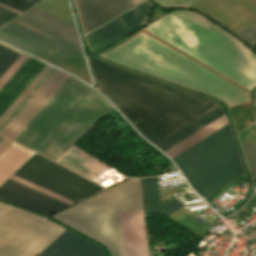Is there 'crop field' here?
<instances>
[{
    "mask_svg": "<svg viewBox=\"0 0 256 256\" xmlns=\"http://www.w3.org/2000/svg\"><path fill=\"white\" fill-rule=\"evenodd\" d=\"M198 15L176 10L143 29L254 88L256 57L242 43ZM144 34L102 57L216 97L228 107L247 100L246 90Z\"/></svg>",
    "mask_w": 256,
    "mask_h": 256,
    "instance_id": "obj_1",
    "label": "crop field"
},
{
    "mask_svg": "<svg viewBox=\"0 0 256 256\" xmlns=\"http://www.w3.org/2000/svg\"><path fill=\"white\" fill-rule=\"evenodd\" d=\"M96 88L155 145L219 104L95 58H87Z\"/></svg>",
    "mask_w": 256,
    "mask_h": 256,
    "instance_id": "obj_2",
    "label": "crop field"
},
{
    "mask_svg": "<svg viewBox=\"0 0 256 256\" xmlns=\"http://www.w3.org/2000/svg\"><path fill=\"white\" fill-rule=\"evenodd\" d=\"M112 109L99 93L69 76L12 141L55 161Z\"/></svg>",
    "mask_w": 256,
    "mask_h": 256,
    "instance_id": "obj_3",
    "label": "crop field"
},
{
    "mask_svg": "<svg viewBox=\"0 0 256 256\" xmlns=\"http://www.w3.org/2000/svg\"><path fill=\"white\" fill-rule=\"evenodd\" d=\"M173 160L203 199L245 173L229 125Z\"/></svg>",
    "mask_w": 256,
    "mask_h": 256,
    "instance_id": "obj_4",
    "label": "crop field"
},
{
    "mask_svg": "<svg viewBox=\"0 0 256 256\" xmlns=\"http://www.w3.org/2000/svg\"><path fill=\"white\" fill-rule=\"evenodd\" d=\"M64 230L11 207L0 217V256H37Z\"/></svg>",
    "mask_w": 256,
    "mask_h": 256,
    "instance_id": "obj_5",
    "label": "crop field"
},
{
    "mask_svg": "<svg viewBox=\"0 0 256 256\" xmlns=\"http://www.w3.org/2000/svg\"><path fill=\"white\" fill-rule=\"evenodd\" d=\"M3 29L54 54L83 55L75 26L35 7Z\"/></svg>",
    "mask_w": 256,
    "mask_h": 256,
    "instance_id": "obj_6",
    "label": "crop field"
},
{
    "mask_svg": "<svg viewBox=\"0 0 256 256\" xmlns=\"http://www.w3.org/2000/svg\"><path fill=\"white\" fill-rule=\"evenodd\" d=\"M19 172L82 200L102 188L35 155Z\"/></svg>",
    "mask_w": 256,
    "mask_h": 256,
    "instance_id": "obj_7",
    "label": "crop field"
},
{
    "mask_svg": "<svg viewBox=\"0 0 256 256\" xmlns=\"http://www.w3.org/2000/svg\"><path fill=\"white\" fill-rule=\"evenodd\" d=\"M153 5L147 0L136 8L86 35L85 39L89 47L97 53L146 25V19Z\"/></svg>",
    "mask_w": 256,
    "mask_h": 256,
    "instance_id": "obj_8",
    "label": "crop field"
},
{
    "mask_svg": "<svg viewBox=\"0 0 256 256\" xmlns=\"http://www.w3.org/2000/svg\"><path fill=\"white\" fill-rule=\"evenodd\" d=\"M190 8L207 14L234 33L256 21V0H202Z\"/></svg>",
    "mask_w": 256,
    "mask_h": 256,
    "instance_id": "obj_9",
    "label": "crop field"
},
{
    "mask_svg": "<svg viewBox=\"0 0 256 256\" xmlns=\"http://www.w3.org/2000/svg\"><path fill=\"white\" fill-rule=\"evenodd\" d=\"M0 201L44 216L69 205L11 179L0 188Z\"/></svg>",
    "mask_w": 256,
    "mask_h": 256,
    "instance_id": "obj_10",
    "label": "crop field"
},
{
    "mask_svg": "<svg viewBox=\"0 0 256 256\" xmlns=\"http://www.w3.org/2000/svg\"><path fill=\"white\" fill-rule=\"evenodd\" d=\"M125 256H150L144 213L119 214Z\"/></svg>",
    "mask_w": 256,
    "mask_h": 256,
    "instance_id": "obj_11",
    "label": "crop field"
},
{
    "mask_svg": "<svg viewBox=\"0 0 256 256\" xmlns=\"http://www.w3.org/2000/svg\"><path fill=\"white\" fill-rule=\"evenodd\" d=\"M97 248L65 230L38 256H104Z\"/></svg>",
    "mask_w": 256,
    "mask_h": 256,
    "instance_id": "obj_12",
    "label": "crop field"
},
{
    "mask_svg": "<svg viewBox=\"0 0 256 256\" xmlns=\"http://www.w3.org/2000/svg\"><path fill=\"white\" fill-rule=\"evenodd\" d=\"M42 62L29 57L9 81L0 89V110L22 87Z\"/></svg>",
    "mask_w": 256,
    "mask_h": 256,
    "instance_id": "obj_13",
    "label": "crop field"
},
{
    "mask_svg": "<svg viewBox=\"0 0 256 256\" xmlns=\"http://www.w3.org/2000/svg\"><path fill=\"white\" fill-rule=\"evenodd\" d=\"M33 155V152L13 143L0 156V186Z\"/></svg>",
    "mask_w": 256,
    "mask_h": 256,
    "instance_id": "obj_14",
    "label": "crop field"
},
{
    "mask_svg": "<svg viewBox=\"0 0 256 256\" xmlns=\"http://www.w3.org/2000/svg\"><path fill=\"white\" fill-rule=\"evenodd\" d=\"M64 73L56 71L53 76L43 85V87L33 96V98L23 107V109L13 118V120L3 129L0 136L8 138L10 134L19 126L35 106L44 98L52 87L61 79Z\"/></svg>",
    "mask_w": 256,
    "mask_h": 256,
    "instance_id": "obj_15",
    "label": "crop field"
},
{
    "mask_svg": "<svg viewBox=\"0 0 256 256\" xmlns=\"http://www.w3.org/2000/svg\"><path fill=\"white\" fill-rule=\"evenodd\" d=\"M223 114L225 113L219 106L156 146L164 152Z\"/></svg>",
    "mask_w": 256,
    "mask_h": 256,
    "instance_id": "obj_16",
    "label": "crop field"
},
{
    "mask_svg": "<svg viewBox=\"0 0 256 256\" xmlns=\"http://www.w3.org/2000/svg\"><path fill=\"white\" fill-rule=\"evenodd\" d=\"M228 124L226 115H223L222 117L218 118L214 122L210 123L206 127L202 128L195 134L191 135L187 139L183 140L179 144L175 145L171 149L167 150L166 153L171 159L174 158L175 156L179 155L183 151L187 150L194 144L198 143L202 139L206 138L213 132L217 131L221 127L225 126Z\"/></svg>",
    "mask_w": 256,
    "mask_h": 256,
    "instance_id": "obj_17",
    "label": "crop field"
},
{
    "mask_svg": "<svg viewBox=\"0 0 256 256\" xmlns=\"http://www.w3.org/2000/svg\"><path fill=\"white\" fill-rule=\"evenodd\" d=\"M35 7L74 24L68 0H43Z\"/></svg>",
    "mask_w": 256,
    "mask_h": 256,
    "instance_id": "obj_18",
    "label": "crop field"
},
{
    "mask_svg": "<svg viewBox=\"0 0 256 256\" xmlns=\"http://www.w3.org/2000/svg\"><path fill=\"white\" fill-rule=\"evenodd\" d=\"M148 213H162L156 178L143 179Z\"/></svg>",
    "mask_w": 256,
    "mask_h": 256,
    "instance_id": "obj_19",
    "label": "crop field"
},
{
    "mask_svg": "<svg viewBox=\"0 0 256 256\" xmlns=\"http://www.w3.org/2000/svg\"><path fill=\"white\" fill-rule=\"evenodd\" d=\"M52 67L46 66L43 71L33 80V82L23 91V93L13 102V104L0 117V125L14 111V109L22 102V100L31 92V90L39 83V81L48 73Z\"/></svg>",
    "mask_w": 256,
    "mask_h": 256,
    "instance_id": "obj_20",
    "label": "crop field"
},
{
    "mask_svg": "<svg viewBox=\"0 0 256 256\" xmlns=\"http://www.w3.org/2000/svg\"><path fill=\"white\" fill-rule=\"evenodd\" d=\"M20 54L0 45V77L17 60Z\"/></svg>",
    "mask_w": 256,
    "mask_h": 256,
    "instance_id": "obj_21",
    "label": "crop field"
},
{
    "mask_svg": "<svg viewBox=\"0 0 256 256\" xmlns=\"http://www.w3.org/2000/svg\"><path fill=\"white\" fill-rule=\"evenodd\" d=\"M241 146L254 181L256 180V143L244 144Z\"/></svg>",
    "mask_w": 256,
    "mask_h": 256,
    "instance_id": "obj_22",
    "label": "crop field"
},
{
    "mask_svg": "<svg viewBox=\"0 0 256 256\" xmlns=\"http://www.w3.org/2000/svg\"><path fill=\"white\" fill-rule=\"evenodd\" d=\"M69 75L65 74L62 79L53 87V89L45 96V98L37 105V107L28 115V117L20 124V126L8 138L11 140L15 134L25 125V123L35 114V112L44 104V102L54 93V91L64 82ZM17 135V134H16Z\"/></svg>",
    "mask_w": 256,
    "mask_h": 256,
    "instance_id": "obj_23",
    "label": "crop field"
},
{
    "mask_svg": "<svg viewBox=\"0 0 256 256\" xmlns=\"http://www.w3.org/2000/svg\"><path fill=\"white\" fill-rule=\"evenodd\" d=\"M236 35L247 42L251 47L256 45V22L237 32Z\"/></svg>",
    "mask_w": 256,
    "mask_h": 256,
    "instance_id": "obj_24",
    "label": "crop field"
},
{
    "mask_svg": "<svg viewBox=\"0 0 256 256\" xmlns=\"http://www.w3.org/2000/svg\"><path fill=\"white\" fill-rule=\"evenodd\" d=\"M15 176H17V177H19V178H21V179H24V180H26V181H28V182H30V183H33V184H35V185H37V186H39V187H42V188H44V189H46V190H49V191H51V192H53V193H55V194H58V195H60V196H62V197H64V198H67V199H69V200H71V201H73V202L79 201V200H77V199H75V198H73V197H71V196H69V195H66V194H64V193H62V192H60V191H58V190H56V189H53V188H51V187H49V186H47V185H45V184H42V183H40V182H38V181H36V180H34V179H32V178H29V177H27V176H25V175L19 173V172H17V173L15 174Z\"/></svg>",
    "mask_w": 256,
    "mask_h": 256,
    "instance_id": "obj_25",
    "label": "crop field"
},
{
    "mask_svg": "<svg viewBox=\"0 0 256 256\" xmlns=\"http://www.w3.org/2000/svg\"><path fill=\"white\" fill-rule=\"evenodd\" d=\"M162 6L188 8L200 0H156Z\"/></svg>",
    "mask_w": 256,
    "mask_h": 256,
    "instance_id": "obj_26",
    "label": "crop field"
},
{
    "mask_svg": "<svg viewBox=\"0 0 256 256\" xmlns=\"http://www.w3.org/2000/svg\"><path fill=\"white\" fill-rule=\"evenodd\" d=\"M27 57L21 55L18 60L9 68V70L0 79V88L15 73V71L24 63Z\"/></svg>",
    "mask_w": 256,
    "mask_h": 256,
    "instance_id": "obj_27",
    "label": "crop field"
},
{
    "mask_svg": "<svg viewBox=\"0 0 256 256\" xmlns=\"http://www.w3.org/2000/svg\"><path fill=\"white\" fill-rule=\"evenodd\" d=\"M0 34L3 35V36H5V37H8V38H10V39H12V40H14V41H16V42H18V43H21V44H23V45H25V46H27V47H29V48H31V49H33V50L39 52V53H48V54H52V53H50V52H48V51H46V50H44V49H42V48H40V47H38V46H35V45H33V44H31V43H29V42H27V41H25V40H23V39H21V38H18V37H16V36H14V35H12V34L6 32V31H4V30H2V29L0 30Z\"/></svg>",
    "mask_w": 256,
    "mask_h": 256,
    "instance_id": "obj_28",
    "label": "crop field"
},
{
    "mask_svg": "<svg viewBox=\"0 0 256 256\" xmlns=\"http://www.w3.org/2000/svg\"><path fill=\"white\" fill-rule=\"evenodd\" d=\"M0 3L7 5L11 8H14L16 10H19L21 12L25 11L26 9L33 5L24 0H0Z\"/></svg>",
    "mask_w": 256,
    "mask_h": 256,
    "instance_id": "obj_29",
    "label": "crop field"
},
{
    "mask_svg": "<svg viewBox=\"0 0 256 256\" xmlns=\"http://www.w3.org/2000/svg\"><path fill=\"white\" fill-rule=\"evenodd\" d=\"M45 66H46V64H44V63L40 66V68L31 76V78L23 85V87L14 95V97L0 111V116L12 104V102L22 93V91L32 82V80L42 71V69Z\"/></svg>",
    "mask_w": 256,
    "mask_h": 256,
    "instance_id": "obj_30",
    "label": "crop field"
},
{
    "mask_svg": "<svg viewBox=\"0 0 256 256\" xmlns=\"http://www.w3.org/2000/svg\"><path fill=\"white\" fill-rule=\"evenodd\" d=\"M184 206L179 199L176 197L172 199L171 201L167 202L166 204L163 205V212L168 216L174 211L178 210Z\"/></svg>",
    "mask_w": 256,
    "mask_h": 256,
    "instance_id": "obj_31",
    "label": "crop field"
},
{
    "mask_svg": "<svg viewBox=\"0 0 256 256\" xmlns=\"http://www.w3.org/2000/svg\"><path fill=\"white\" fill-rule=\"evenodd\" d=\"M11 179H13V180H15V181H18V182H20V183H22V184H25V185H27V186H29V187H32V188H34V189H36V190H39V191H41V192H44V193H46V194H48V195H51V196H53V197H55V198H58V199H60V200H62V201H65V202L68 201L67 199H64V198H62V197H60V196H58V195H55V194H53V193H51V192H49V191H46V190H44V189H42V188H39V187H37V186H35V185H33V184H30V183H28V182H26V181H24V180H21V179L15 177V176L11 177ZM67 203H69V202H67ZM69 204H71V203H69Z\"/></svg>",
    "mask_w": 256,
    "mask_h": 256,
    "instance_id": "obj_32",
    "label": "crop field"
},
{
    "mask_svg": "<svg viewBox=\"0 0 256 256\" xmlns=\"http://www.w3.org/2000/svg\"><path fill=\"white\" fill-rule=\"evenodd\" d=\"M17 16L18 15L13 14L9 11H6V10L0 8V19L1 20H4V21L8 22V21L14 19Z\"/></svg>",
    "mask_w": 256,
    "mask_h": 256,
    "instance_id": "obj_33",
    "label": "crop field"
},
{
    "mask_svg": "<svg viewBox=\"0 0 256 256\" xmlns=\"http://www.w3.org/2000/svg\"><path fill=\"white\" fill-rule=\"evenodd\" d=\"M0 40L4 41V42H6V43H9V44H11V45H13V46H15V47H17V48H19V49L25 51V52H27V51L29 50V48L24 47V46H22V45H20V44H18V43H16V42H14V41H12V40H9V39H7V38L1 36V35H0Z\"/></svg>",
    "mask_w": 256,
    "mask_h": 256,
    "instance_id": "obj_34",
    "label": "crop field"
},
{
    "mask_svg": "<svg viewBox=\"0 0 256 256\" xmlns=\"http://www.w3.org/2000/svg\"><path fill=\"white\" fill-rule=\"evenodd\" d=\"M12 144V142H9L5 139H3L0 142V155Z\"/></svg>",
    "mask_w": 256,
    "mask_h": 256,
    "instance_id": "obj_35",
    "label": "crop field"
},
{
    "mask_svg": "<svg viewBox=\"0 0 256 256\" xmlns=\"http://www.w3.org/2000/svg\"><path fill=\"white\" fill-rule=\"evenodd\" d=\"M254 100H256V92L254 94ZM254 104H255V108H256V101H254Z\"/></svg>",
    "mask_w": 256,
    "mask_h": 256,
    "instance_id": "obj_36",
    "label": "crop field"
},
{
    "mask_svg": "<svg viewBox=\"0 0 256 256\" xmlns=\"http://www.w3.org/2000/svg\"><path fill=\"white\" fill-rule=\"evenodd\" d=\"M6 22L0 20V27L4 25Z\"/></svg>",
    "mask_w": 256,
    "mask_h": 256,
    "instance_id": "obj_37",
    "label": "crop field"
},
{
    "mask_svg": "<svg viewBox=\"0 0 256 256\" xmlns=\"http://www.w3.org/2000/svg\"><path fill=\"white\" fill-rule=\"evenodd\" d=\"M26 1L31 2V3H33V4H35V3H36V2H34V1H32V0H26Z\"/></svg>",
    "mask_w": 256,
    "mask_h": 256,
    "instance_id": "obj_38",
    "label": "crop field"
},
{
    "mask_svg": "<svg viewBox=\"0 0 256 256\" xmlns=\"http://www.w3.org/2000/svg\"><path fill=\"white\" fill-rule=\"evenodd\" d=\"M254 50H256V46L252 47Z\"/></svg>",
    "mask_w": 256,
    "mask_h": 256,
    "instance_id": "obj_39",
    "label": "crop field"
},
{
    "mask_svg": "<svg viewBox=\"0 0 256 256\" xmlns=\"http://www.w3.org/2000/svg\"><path fill=\"white\" fill-rule=\"evenodd\" d=\"M34 1L38 2V1H40V0H34Z\"/></svg>",
    "mask_w": 256,
    "mask_h": 256,
    "instance_id": "obj_40",
    "label": "crop field"
},
{
    "mask_svg": "<svg viewBox=\"0 0 256 256\" xmlns=\"http://www.w3.org/2000/svg\"><path fill=\"white\" fill-rule=\"evenodd\" d=\"M2 140V138H0V141Z\"/></svg>",
    "mask_w": 256,
    "mask_h": 256,
    "instance_id": "obj_41",
    "label": "crop field"
}]
</instances>
